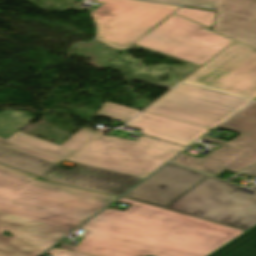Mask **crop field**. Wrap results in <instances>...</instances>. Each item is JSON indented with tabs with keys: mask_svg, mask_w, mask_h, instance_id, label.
<instances>
[{
	"mask_svg": "<svg viewBox=\"0 0 256 256\" xmlns=\"http://www.w3.org/2000/svg\"><path fill=\"white\" fill-rule=\"evenodd\" d=\"M184 81L253 99L256 49L235 41Z\"/></svg>",
	"mask_w": 256,
	"mask_h": 256,
	"instance_id": "3316defc",
	"label": "crop field"
},
{
	"mask_svg": "<svg viewBox=\"0 0 256 256\" xmlns=\"http://www.w3.org/2000/svg\"><path fill=\"white\" fill-rule=\"evenodd\" d=\"M103 6L92 12L97 24L96 39L109 47L125 50L164 19L177 6L134 1L95 0Z\"/></svg>",
	"mask_w": 256,
	"mask_h": 256,
	"instance_id": "dd49c442",
	"label": "crop field"
},
{
	"mask_svg": "<svg viewBox=\"0 0 256 256\" xmlns=\"http://www.w3.org/2000/svg\"><path fill=\"white\" fill-rule=\"evenodd\" d=\"M21 112H23V111H21ZM24 113H26V112H24ZM28 114V113H27Z\"/></svg>",
	"mask_w": 256,
	"mask_h": 256,
	"instance_id": "dafd665d",
	"label": "crop field"
},
{
	"mask_svg": "<svg viewBox=\"0 0 256 256\" xmlns=\"http://www.w3.org/2000/svg\"><path fill=\"white\" fill-rule=\"evenodd\" d=\"M184 149L144 136L133 141L98 133L65 160L146 178Z\"/></svg>",
	"mask_w": 256,
	"mask_h": 256,
	"instance_id": "412701ff",
	"label": "crop field"
},
{
	"mask_svg": "<svg viewBox=\"0 0 256 256\" xmlns=\"http://www.w3.org/2000/svg\"><path fill=\"white\" fill-rule=\"evenodd\" d=\"M205 177L207 175L168 164L124 198L165 208Z\"/></svg>",
	"mask_w": 256,
	"mask_h": 256,
	"instance_id": "28ad6ade",
	"label": "crop field"
},
{
	"mask_svg": "<svg viewBox=\"0 0 256 256\" xmlns=\"http://www.w3.org/2000/svg\"><path fill=\"white\" fill-rule=\"evenodd\" d=\"M215 32L256 47V1L222 0Z\"/></svg>",
	"mask_w": 256,
	"mask_h": 256,
	"instance_id": "22f410ed",
	"label": "crop field"
},
{
	"mask_svg": "<svg viewBox=\"0 0 256 256\" xmlns=\"http://www.w3.org/2000/svg\"><path fill=\"white\" fill-rule=\"evenodd\" d=\"M249 102L211 89L181 83L145 112L212 129Z\"/></svg>",
	"mask_w": 256,
	"mask_h": 256,
	"instance_id": "f4fd0767",
	"label": "crop field"
},
{
	"mask_svg": "<svg viewBox=\"0 0 256 256\" xmlns=\"http://www.w3.org/2000/svg\"><path fill=\"white\" fill-rule=\"evenodd\" d=\"M171 4H187L215 8L219 0H153Z\"/></svg>",
	"mask_w": 256,
	"mask_h": 256,
	"instance_id": "bc2a9ffb",
	"label": "crop field"
},
{
	"mask_svg": "<svg viewBox=\"0 0 256 256\" xmlns=\"http://www.w3.org/2000/svg\"><path fill=\"white\" fill-rule=\"evenodd\" d=\"M176 14L211 28L216 12H208V11L183 7Z\"/></svg>",
	"mask_w": 256,
	"mask_h": 256,
	"instance_id": "4a817a6b",
	"label": "crop field"
},
{
	"mask_svg": "<svg viewBox=\"0 0 256 256\" xmlns=\"http://www.w3.org/2000/svg\"><path fill=\"white\" fill-rule=\"evenodd\" d=\"M219 128L235 131L240 135L231 142L205 136L203 139L222 147L202 158L182 154L172 162L214 176L225 170L236 173L256 162V102Z\"/></svg>",
	"mask_w": 256,
	"mask_h": 256,
	"instance_id": "d8731c3e",
	"label": "crop field"
},
{
	"mask_svg": "<svg viewBox=\"0 0 256 256\" xmlns=\"http://www.w3.org/2000/svg\"><path fill=\"white\" fill-rule=\"evenodd\" d=\"M39 179L0 164V256H38L117 198Z\"/></svg>",
	"mask_w": 256,
	"mask_h": 256,
	"instance_id": "8a807250",
	"label": "crop field"
},
{
	"mask_svg": "<svg viewBox=\"0 0 256 256\" xmlns=\"http://www.w3.org/2000/svg\"><path fill=\"white\" fill-rule=\"evenodd\" d=\"M136 129L144 131L142 134L158 138L168 142L187 146L195 141L208 129L190 124L174 121L156 115L142 112L132 122L127 124Z\"/></svg>",
	"mask_w": 256,
	"mask_h": 256,
	"instance_id": "cbeb9de0",
	"label": "crop field"
},
{
	"mask_svg": "<svg viewBox=\"0 0 256 256\" xmlns=\"http://www.w3.org/2000/svg\"><path fill=\"white\" fill-rule=\"evenodd\" d=\"M233 41L173 15L135 44L203 65Z\"/></svg>",
	"mask_w": 256,
	"mask_h": 256,
	"instance_id": "e52e79f7",
	"label": "crop field"
},
{
	"mask_svg": "<svg viewBox=\"0 0 256 256\" xmlns=\"http://www.w3.org/2000/svg\"><path fill=\"white\" fill-rule=\"evenodd\" d=\"M0 163L42 177V180L121 196L143 180L100 169L78 165L71 171L55 168L56 164L0 145Z\"/></svg>",
	"mask_w": 256,
	"mask_h": 256,
	"instance_id": "5a996713",
	"label": "crop field"
},
{
	"mask_svg": "<svg viewBox=\"0 0 256 256\" xmlns=\"http://www.w3.org/2000/svg\"><path fill=\"white\" fill-rule=\"evenodd\" d=\"M139 113L140 111L106 102L97 114L127 122Z\"/></svg>",
	"mask_w": 256,
	"mask_h": 256,
	"instance_id": "733c2abd",
	"label": "crop field"
},
{
	"mask_svg": "<svg viewBox=\"0 0 256 256\" xmlns=\"http://www.w3.org/2000/svg\"><path fill=\"white\" fill-rule=\"evenodd\" d=\"M220 2H221V0H220ZM220 2H219V4H220ZM219 4H218V6L216 8V10H218V11H219V9H223L224 8V7L219 6Z\"/></svg>",
	"mask_w": 256,
	"mask_h": 256,
	"instance_id": "92a150f3",
	"label": "crop field"
},
{
	"mask_svg": "<svg viewBox=\"0 0 256 256\" xmlns=\"http://www.w3.org/2000/svg\"><path fill=\"white\" fill-rule=\"evenodd\" d=\"M127 211L107 209L81 229L90 230L76 252L95 256H208L244 231L140 202Z\"/></svg>",
	"mask_w": 256,
	"mask_h": 256,
	"instance_id": "ac0d7876",
	"label": "crop field"
},
{
	"mask_svg": "<svg viewBox=\"0 0 256 256\" xmlns=\"http://www.w3.org/2000/svg\"><path fill=\"white\" fill-rule=\"evenodd\" d=\"M240 174L256 177V163L226 180L231 181ZM240 188L208 176L166 209L247 231L256 226V195Z\"/></svg>",
	"mask_w": 256,
	"mask_h": 256,
	"instance_id": "34b2d1b8",
	"label": "crop field"
},
{
	"mask_svg": "<svg viewBox=\"0 0 256 256\" xmlns=\"http://www.w3.org/2000/svg\"><path fill=\"white\" fill-rule=\"evenodd\" d=\"M48 254H51L52 256H91V255H86V254H81V253L56 249V248H53L52 250H50Z\"/></svg>",
	"mask_w": 256,
	"mask_h": 256,
	"instance_id": "214f88e0",
	"label": "crop field"
},
{
	"mask_svg": "<svg viewBox=\"0 0 256 256\" xmlns=\"http://www.w3.org/2000/svg\"><path fill=\"white\" fill-rule=\"evenodd\" d=\"M209 256H256V227Z\"/></svg>",
	"mask_w": 256,
	"mask_h": 256,
	"instance_id": "5142ce71",
	"label": "crop field"
},
{
	"mask_svg": "<svg viewBox=\"0 0 256 256\" xmlns=\"http://www.w3.org/2000/svg\"><path fill=\"white\" fill-rule=\"evenodd\" d=\"M33 118L18 111H3L0 114V137L9 138Z\"/></svg>",
	"mask_w": 256,
	"mask_h": 256,
	"instance_id": "d9b57169",
	"label": "crop field"
},
{
	"mask_svg": "<svg viewBox=\"0 0 256 256\" xmlns=\"http://www.w3.org/2000/svg\"><path fill=\"white\" fill-rule=\"evenodd\" d=\"M97 133V131L81 128L59 146L18 131L7 140L0 138V144L58 164Z\"/></svg>",
	"mask_w": 256,
	"mask_h": 256,
	"instance_id": "d1516ede",
	"label": "crop field"
}]
</instances>
